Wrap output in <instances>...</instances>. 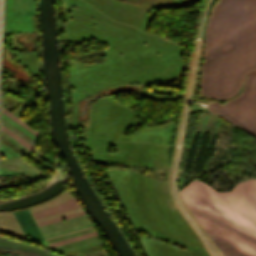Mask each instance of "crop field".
Listing matches in <instances>:
<instances>
[{
    "label": "crop field",
    "mask_w": 256,
    "mask_h": 256,
    "mask_svg": "<svg viewBox=\"0 0 256 256\" xmlns=\"http://www.w3.org/2000/svg\"><path fill=\"white\" fill-rule=\"evenodd\" d=\"M12 0L6 2L5 35L10 32H36L35 16L11 15Z\"/></svg>",
    "instance_id": "obj_1"
},
{
    "label": "crop field",
    "mask_w": 256,
    "mask_h": 256,
    "mask_svg": "<svg viewBox=\"0 0 256 256\" xmlns=\"http://www.w3.org/2000/svg\"><path fill=\"white\" fill-rule=\"evenodd\" d=\"M76 207H80V204L76 200V198L73 197V198H71V199H69V200H67V201H65V202H63V203H61L57 206H54V207H51V208L33 213L32 215H33L34 219H36V218L44 217V216H47V215L62 212V211H65V210L76 208Z\"/></svg>",
    "instance_id": "obj_2"
},
{
    "label": "crop field",
    "mask_w": 256,
    "mask_h": 256,
    "mask_svg": "<svg viewBox=\"0 0 256 256\" xmlns=\"http://www.w3.org/2000/svg\"><path fill=\"white\" fill-rule=\"evenodd\" d=\"M1 130L3 132H5L6 134H8L10 137H12L13 139H15L16 141H18L20 144H22L23 146H25L26 148H28L30 151H33L34 146H32L31 144H29L27 141H25L24 139H22L21 137H19L17 134H15L14 132H12L11 130H9L8 128H6L5 126L2 125Z\"/></svg>",
    "instance_id": "obj_3"
},
{
    "label": "crop field",
    "mask_w": 256,
    "mask_h": 256,
    "mask_svg": "<svg viewBox=\"0 0 256 256\" xmlns=\"http://www.w3.org/2000/svg\"><path fill=\"white\" fill-rule=\"evenodd\" d=\"M2 113H4L6 116H8L9 118H11L13 121H15L16 123H18L19 125H21L23 128H25L26 130H28L29 132H31L33 135H35L36 137H39L40 133H38L37 131H35L34 129H32L30 126H28L27 124H25L24 122H22L20 119H18L17 117H15L13 114H11L10 112H8L7 110H5L4 108H2Z\"/></svg>",
    "instance_id": "obj_4"
},
{
    "label": "crop field",
    "mask_w": 256,
    "mask_h": 256,
    "mask_svg": "<svg viewBox=\"0 0 256 256\" xmlns=\"http://www.w3.org/2000/svg\"><path fill=\"white\" fill-rule=\"evenodd\" d=\"M92 236H96L95 231L90 232V233H86V234H83V235H79V236H76V237L68 238V239H65V240H61V241H58V242L50 243L49 246L52 247V246H56V245H60V244H64V243H68V242H72V241H76V240H80V239H84V238H88V237H92Z\"/></svg>",
    "instance_id": "obj_5"
},
{
    "label": "crop field",
    "mask_w": 256,
    "mask_h": 256,
    "mask_svg": "<svg viewBox=\"0 0 256 256\" xmlns=\"http://www.w3.org/2000/svg\"><path fill=\"white\" fill-rule=\"evenodd\" d=\"M80 214H84V211L74 213V214H71V215H67V216H64V217L56 218V219H53V220H49V221H46V222L38 223V226L48 224V223H51V222H55V221H58V220L66 219V218L73 217V216L80 215Z\"/></svg>",
    "instance_id": "obj_6"
}]
</instances>
